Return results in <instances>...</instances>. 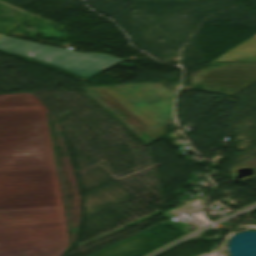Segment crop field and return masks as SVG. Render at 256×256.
<instances>
[{
	"mask_svg": "<svg viewBox=\"0 0 256 256\" xmlns=\"http://www.w3.org/2000/svg\"><path fill=\"white\" fill-rule=\"evenodd\" d=\"M212 62H256V36Z\"/></svg>",
	"mask_w": 256,
	"mask_h": 256,
	"instance_id": "412701ff",
	"label": "crop field"
},
{
	"mask_svg": "<svg viewBox=\"0 0 256 256\" xmlns=\"http://www.w3.org/2000/svg\"><path fill=\"white\" fill-rule=\"evenodd\" d=\"M89 93L95 100H97L103 107H105L111 114H113L119 121H121L127 128H129L135 135H137L143 142L150 144L153 142L149 137H147L140 129H138L134 124H132L128 119H126L122 114L115 110L111 105H109L105 100H103L99 95H97L90 88L84 89Z\"/></svg>",
	"mask_w": 256,
	"mask_h": 256,
	"instance_id": "f4fd0767",
	"label": "crop field"
},
{
	"mask_svg": "<svg viewBox=\"0 0 256 256\" xmlns=\"http://www.w3.org/2000/svg\"><path fill=\"white\" fill-rule=\"evenodd\" d=\"M153 141L164 135L165 122L172 120L175 92L161 83L91 88Z\"/></svg>",
	"mask_w": 256,
	"mask_h": 256,
	"instance_id": "8a807250",
	"label": "crop field"
},
{
	"mask_svg": "<svg viewBox=\"0 0 256 256\" xmlns=\"http://www.w3.org/2000/svg\"><path fill=\"white\" fill-rule=\"evenodd\" d=\"M3 35H0V37H2Z\"/></svg>",
	"mask_w": 256,
	"mask_h": 256,
	"instance_id": "dd49c442",
	"label": "crop field"
},
{
	"mask_svg": "<svg viewBox=\"0 0 256 256\" xmlns=\"http://www.w3.org/2000/svg\"><path fill=\"white\" fill-rule=\"evenodd\" d=\"M255 81L256 64L211 63L209 67L191 76L190 84L208 86L205 88H193L211 91H222L233 95L243 87Z\"/></svg>",
	"mask_w": 256,
	"mask_h": 256,
	"instance_id": "34b2d1b8",
	"label": "crop field"
},
{
	"mask_svg": "<svg viewBox=\"0 0 256 256\" xmlns=\"http://www.w3.org/2000/svg\"><path fill=\"white\" fill-rule=\"evenodd\" d=\"M0 50L30 56L85 78L121 60L103 54L78 53L6 36L0 38Z\"/></svg>",
	"mask_w": 256,
	"mask_h": 256,
	"instance_id": "ac0d7876",
	"label": "crop field"
}]
</instances>
